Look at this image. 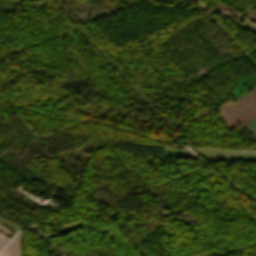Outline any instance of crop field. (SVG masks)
<instances>
[{"label":"crop field","instance_id":"1","mask_svg":"<svg viewBox=\"0 0 256 256\" xmlns=\"http://www.w3.org/2000/svg\"><path fill=\"white\" fill-rule=\"evenodd\" d=\"M0 256H20L17 234L10 241V243L2 251H0Z\"/></svg>","mask_w":256,"mask_h":256}]
</instances>
